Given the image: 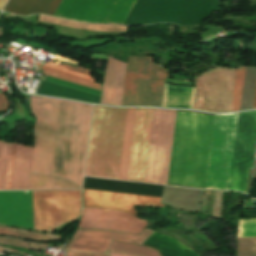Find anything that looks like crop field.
Here are the masks:
<instances>
[{"instance_id":"733c2abd","label":"crop field","mask_w":256,"mask_h":256,"mask_svg":"<svg viewBox=\"0 0 256 256\" xmlns=\"http://www.w3.org/2000/svg\"><path fill=\"white\" fill-rule=\"evenodd\" d=\"M41 69L44 70L43 75H47V76H50V77H54V78H57V79H61V80H64V81H68V82H71V83H74V84H78V85H81V86H85V87L92 88V89L100 91L101 85H99V84H95V83H92V82H89V81H86V80L68 75L66 73H63V72H60V71H57V70H54V69H51V68H48V67H45V66H43Z\"/></svg>"},{"instance_id":"214f88e0","label":"crop field","mask_w":256,"mask_h":256,"mask_svg":"<svg viewBox=\"0 0 256 256\" xmlns=\"http://www.w3.org/2000/svg\"><path fill=\"white\" fill-rule=\"evenodd\" d=\"M256 236V218L239 219L237 237Z\"/></svg>"},{"instance_id":"e52e79f7","label":"crop field","mask_w":256,"mask_h":256,"mask_svg":"<svg viewBox=\"0 0 256 256\" xmlns=\"http://www.w3.org/2000/svg\"><path fill=\"white\" fill-rule=\"evenodd\" d=\"M79 190L33 191L34 230L52 232L78 218Z\"/></svg>"},{"instance_id":"8a807250","label":"crop field","mask_w":256,"mask_h":256,"mask_svg":"<svg viewBox=\"0 0 256 256\" xmlns=\"http://www.w3.org/2000/svg\"><path fill=\"white\" fill-rule=\"evenodd\" d=\"M37 117L29 189L81 188L92 105L30 96Z\"/></svg>"},{"instance_id":"cbeb9de0","label":"crop field","mask_w":256,"mask_h":256,"mask_svg":"<svg viewBox=\"0 0 256 256\" xmlns=\"http://www.w3.org/2000/svg\"><path fill=\"white\" fill-rule=\"evenodd\" d=\"M125 67V63L109 57L103 82L101 103L120 105Z\"/></svg>"},{"instance_id":"92a150f3","label":"crop field","mask_w":256,"mask_h":256,"mask_svg":"<svg viewBox=\"0 0 256 256\" xmlns=\"http://www.w3.org/2000/svg\"><path fill=\"white\" fill-rule=\"evenodd\" d=\"M44 65L50 66V67H52V68H55V69H58V70L67 72V73H69V74H72V75H75V76H78V77H81V78H84V79L89 80V81H92V82L94 81V79H93L91 76H87V75H82V74H77V73L70 72V71L65 70V69H63V68H61V67H59V66H57V65H55V64H53V63H50V62H47V63H45Z\"/></svg>"},{"instance_id":"a9b5d70f","label":"crop field","mask_w":256,"mask_h":256,"mask_svg":"<svg viewBox=\"0 0 256 256\" xmlns=\"http://www.w3.org/2000/svg\"><path fill=\"white\" fill-rule=\"evenodd\" d=\"M160 233V232H159ZM167 235V234H166ZM181 242V241H180ZM183 243V242H182ZM184 244V243H183ZM144 246V245H143ZM153 249V248H152ZM156 250V249H155ZM158 251V250H157ZM195 251V250H194ZM159 252V251H158ZM159 254H160V252H159ZM110 256H127V255H121V254H115V253H110L109 254ZM160 256H161V254H160ZM200 256V255H199Z\"/></svg>"},{"instance_id":"dd49c442","label":"crop field","mask_w":256,"mask_h":256,"mask_svg":"<svg viewBox=\"0 0 256 256\" xmlns=\"http://www.w3.org/2000/svg\"><path fill=\"white\" fill-rule=\"evenodd\" d=\"M237 116L215 115L206 189L228 190Z\"/></svg>"},{"instance_id":"28ad6ade","label":"crop field","mask_w":256,"mask_h":256,"mask_svg":"<svg viewBox=\"0 0 256 256\" xmlns=\"http://www.w3.org/2000/svg\"><path fill=\"white\" fill-rule=\"evenodd\" d=\"M152 230H145L140 236L113 230H82L77 229L65 249L107 254L112 240L131 242L141 245Z\"/></svg>"},{"instance_id":"5a996713","label":"crop field","mask_w":256,"mask_h":256,"mask_svg":"<svg viewBox=\"0 0 256 256\" xmlns=\"http://www.w3.org/2000/svg\"><path fill=\"white\" fill-rule=\"evenodd\" d=\"M236 69L217 67L196 78L193 109L228 112Z\"/></svg>"},{"instance_id":"412701ff","label":"crop field","mask_w":256,"mask_h":256,"mask_svg":"<svg viewBox=\"0 0 256 256\" xmlns=\"http://www.w3.org/2000/svg\"><path fill=\"white\" fill-rule=\"evenodd\" d=\"M213 119L177 112L168 183L205 188Z\"/></svg>"},{"instance_id":"d9b57169","label":"crop field","mask_w":256,"mask_h":256,"mask_svg":"<svg viewBox=\"0 0 256 256\" xmlns=\"http://www.w3.org/2000/svg\"><path fill=\"white\" fill-rule=\"evenodd\" d=\"M0 234L14 235L22 238L33 239L38 241H56L62 238L61 235L48 234V233H33L20 229L0 227Z\"/></svg>"},{"instance_id":"eef30255","label":"crop field","mask_w":256,"mask_h":256,"mask_svg":"<svg viewBox=\"0 0 256 256\" xmlns=\"http://www.w3.org/2000/svg\"><path fill=\"white\" fill-rule=\"evenodd\" d=\"M253 178H256V163H255V169H254V175Z\"/></svg>"},{"instance_id":"f4fd0767","label":"crop field","mask_w":256,"mask_h":256,"mask_svg":"<svg viewBox=\"0 0 256 256\" xmlns=\"http://www.w3.org/2000/svg\"><path fill=\"white\" fill-rule=\"evenodd\" d=\"M151 56H129L121 105L160 106L168 75Z\"/></svg>"},{"instance_id":"4177f3b9","label":"crop field","mask_w":256,"mask_h":256,"mask_svg":"<svg viewBox=\"0 0 256 256\" xmlns=\"http://www.w3.org/2000/svg\"><path fill=\"white\" fill-rule=\"evenodd\" d=\"M7 0H0V10L4 7Z\"/></svg>"},{"instance_id":"730fd06b","label":"crop field","mask_w":256,"mask_h":256,"mask_svg":"<svg viewBox=\"0 0 256 256\" xmlns=\"http://www.w3.org/2000/svg\"><path fill=\"white\" fill-rule=\"evenodd\" d=\"M256 108V89H255V96H254V104H253V109Z\"/></svg>"},{"instance_id":"3316defc","label":"crop field","mask_w":256,"mask_h":256,"mask_svg":"<svg viewBox=\"0 0 256 256\" xmlns=\"http://www.w3.org/2000/svg\"><path fill=\"white\" fill-rule=\"evenodd\" d=\"M33 148L0 142V190L28 189Z\"/></svg>"},{"instance_id":"d8731c3e","label":"crop field","mask_w":256,"mask_h":256,"mask_svg":"<svg viewBox=\"0 0 256 256\" xmlns=\"http://www.w3.org/2000/svg\"><path fill=\"white\" fill-rule=\"evenodd\" d=\"M136 0H62L54 16L124 24Z\"/></svg>"},{"instance_id":"ac0d7876","label":"crop field","mask_w":256,"mask_h":256,"mask_svg":"<svg viewBox=\"0 0 256 256\" xmlns=\"http://www.w3.org/2000/svg\"><path fill=\"white\" fill-rule=\"evenodd\" d=\"M134 112L94 106L85 176L126 180Z\"/></svg>"},{"instance_id":"00972430","label":"crop field","mask_w":256,"mask_h":256,"mask_svg":"<svg viewBox=\"0 0 256 256\" xmlns=\"http://www.w3.org/2000/svg\"><path fill=\"white\" fill-rule=\"evenodd\" d=\"M66 256H108V255L90 254V253H80V252L68 251Z\"/></svg>"},{"instance_id":"bc2a9ffb","label":"crop field","mask_w":256,"mask_h":256,"mask_svg":"<svg viewBox=\"0 0 256 256\" xmlns=\"http://www.w3.org/2000/svg\"><path fill=\"white\" fill-rule=\"evenodd\" d=\"M237 256H256V237L237 238Z\"/></svg>"},{"instance_id":"4a817a6b","label":"crop field","mask_w":256,"mask_h":256,"mask_svg":"<svg viewBox=\"0 0 256 256\" xmlns=\"http://www.w3.org/2000/svg\"><path fill=\"white\" fill-rule=\"evenodd\" d=\"M244 71H245V68L237 69L230 111L239 110Z\"/></svg>"},{"instance_id":"34b2d1b8","label":"crop field","mask_w":256,"mask_h":256,"mask_svg":"<svg viewBox=\"0 0 256 256\" xmlns=\"http://www.w3.org/2000/svg\"><path fill=\"white\" fill-rule=\"evenodd\" d=\"M153 109L136 108L127 180L143 182ZM176 110L154 109L144 182L166 185Z\"/></svg>"},{"instance_id":"dafd665d","label":"crop field","mask_w":256,"mask_h":256,"mask_svg":"<svg viewBox=\"0 0 256 256\" xmlns=\"http://www.w3.org/2000/svg\"><path fill=\"white\" fill-rule=\"evenodd\" d=\"M9 102L3 94H0V111H7Z\"/></svg>"},{"instance_id":"d1516ede","label":"crop field","mask_w":256,"mask_h":256,"mask_svg":"<svg viewBox=\"0 0 256 256\" xmlns=\"http://www.w3.org/2000/svg\"><path fill=\"white\" fill-rule=\"evenodd\" d=\"M147 221L117 210L84 208L78 228H101L139 234Z\"/></svg>"},{"instance_id":"22f410ed","label":"crop field","mask_w":256,"mask_h":256,"mask_svg":"<svg viewBox=\"0 0 256 256\" xmlns=\"http://www.w3.org/2000/svg\"><path fill=\"white\" fill-rule=\"evenodd\" d=\"M84 207L124 210L135 216L132 204L162 207L161 198L84 189Z\"/></svg>"},{"instance_id":"5142ce71","label":"crop field","mask_w":256,"mask_h":256,"mask_svg":"<svg viewBox=\"0 0 256 256\" xmlns=\"http://www.w3.org/2000/svg\"><path fill=\"white\" fill-rule=\"evenodd\" d=\"M61 0H9L5 11L28 15L43 13L53 16Z\"/></svg>"}]
</instances>
